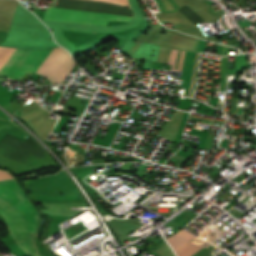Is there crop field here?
<instances>
[{
	"label": "crop field",
	"mask_w": 256,
	"mask_h": 256,
	"mask_svg": "<svg viewBox=\"0 0 256 256\" xmlns=\"http://www.w3.org/2000/svg\"><path fill=\"white\" fill-rule=\"evenodd\" d=\"M0 197L12 203L15 207H17L21 211L27 223L29 234L36 233L38 223L40 221V213L36 210L33 204L27 199L23 189L18 184L16 179L0 181ZM1 198H0V207L14 217L31 254L39 255L35 241H34V236L28 235L26 223L20 211L17 208H15L12 204L2 200ZM1 208H0V215L7 223L9 230H11L13 238L16 240L18 245L26 253L30 254L21 237V234L18 230V227L13 217H11Z\"/></svg>",
	"instance_id": "obj_2"
},
{
	"label": "crop field",
	"mask_w": 256,
	"mask_h": 256,
	"mask_svg": "<svg viewBox=\"0 0 256 256\" xmlns=\"http://www.w3.org/2000/svg\"><path fill=\"white\" fill-rule=\"evenodd\" d=\"M132 17L49 7L43 20H54L86 25L106 26L108 21L119 20L130 22Z\"/></svg>",
	"instance_id": "obj_3"
},
{
	"label": "crop field",
	"mask_w": 256,
	"mask_h": 256,
	"mask_svg": "<svg viewBox=\"0 0 256 256\" xmlns=\"http://www.w3.org/2000/svg\"><path fill=\"white\" fill-rule=\"evenodd\" d=\"M14 178L7 170H0V180Z\"/></svg>",
	"instance_id": "obj_7"
},
{
	"label": "crop field",
	"mask_w": 256,
	"mask_h": 256,
	"mask_svg": "<svg viewBox=\"0 0 256 256\" xmlns=\"http://www.w3.org/2000/svg\"><path fill=\"white\" fill-rule=\"evenodd\" d=\"M104 1H110V2H114V3H119V4H125L128 5V0H104Z\"/></svg>",
	"instance_id": "obj_8"
},
{
	"label": "crop field",
	"mask_w": 256,
	"mask_h": 256,
	"mask_svg": "<svg viewBox=\"0 0 256 256\" xmlns=\"http://www.w3.org/2000/svg\"><path fill=\"white\" fill-rule=\"evenodd\" d=\"M247 66V55H236L235 56V72L234 73H242V67Z\"/></svg>",
	"instance_id": "obj_6"
},
{
	"label": "crop field",
	"mask_w": 256,
	"mask_h": 256,
	"mask_svg": "<svg viewBox=\"0 0 256 256\" xmlns=\"http://www.w3.org/2000/svg\"><path fill=\"white\" fill-rule=\"evenodd\" d=\"M195 237L196 236H194V235H192V234H190V233L181 229L177 234L173 235L172 237H170L167 240L169 241V243L172 245V247L176 251L181 246L186 244L189 240H192Z\"/></svg>",
	"instance_id": "obj_4"
},
{
	"label": "crop field",
	"mask_w": 256,
	"mask_h": 256,
	"mask_svg": "<svg viewBox=\"0 0 256 256\" xmlns=\"http://www.w3.org/2000/svg\"><path fill=\"white\" fill-rule=\"evenodd\" d=\"M9 50L10 48L0 47V62ZM51 50L34 51L11 48L0 63V74L13 79L34 51L14 78L20 80L27 71L34 73ZM74 66L68 52L61 47H57L53 49L36 73L48 77L52 83H62Z\"/></svg>",
	"instance_id": "obj_1"
},
{
	"label": "crop field",
	"mask_w": 256,
	"mask_h": 256,
	"mask_svg": "<svg viewBox=\"0 0 256 256\" xmlns=\"http://www.w3.org/2000/svg\"><path fill=\"white\" fill-rule=\"evenodd\" d=\"M201 246L193 243V242H189L186 245H184L183 247H181L179 250H177V254L178 256H189L191 255L193 252H195L196 250H198Z\"/></svg>",
	"instance_id": "obj_5"
}]
</instances>
